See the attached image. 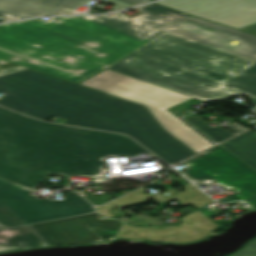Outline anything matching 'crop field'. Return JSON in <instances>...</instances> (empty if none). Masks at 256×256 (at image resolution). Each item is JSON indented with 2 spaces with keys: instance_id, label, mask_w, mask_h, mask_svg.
I'll return each instance as SVG.
<instances>
[{
  "instance_id": "crop-field-6",
  "label": "crop field",
  "mask_w": 256,
  "mask_h": 256,
  "mask_svg": "<svg viewBox=\"0 0 256 256\" xmlns=\"http://www.w3.org/2000/svg\"><path fill=\"white\" fill-rule=\"evenodd\" d=\"M87 226L111 228L87 215L0 231V252L103 240Z\"/></svg>"
},
{
  "instance_id": "crop-field-18",
  "label": "crop field",
  "mask_w": 256,
  "mask_h": 256,
  "mask_svg": "<svg viewBox=\"0 0 256 256\" xmlns=\"http://www.w3.org/2000/svg\"><path fill=\"white\" fill-rule=\"evenodd\" d=\"M91 228V227H90ZM100 236H113L117 235L120 229H98V228H91Z\"/></svg>"
},
{
  "instance_id": "crop-field-11",
  "label": "crop field",
  "mask_w": 256,
  "mask_h": 256,
  "mask_svg": "<svg viewBox=\"0 0 256 256\" xmlns=\"http://www.w3.org/2000/svg\"><path fill=\"white\" fill-rule=\"evenodd\" d=\"M221 146L256 171V132L249 130Z\"/></svg>"
},
{
  "instance_id": "crop-field-10",
  "label": "crop field",
  "mask_w": 256,
  "mask_h": 256,
  "mask_svg": "<svg viewBox=\"0 0 256 256\" xmlns=\"http://www.w3.org/2000/svg\"><path fill=\"white\" fill-rule=\"evenodd\" d=\"M91 0H0V11L21 18L35 15L78 14L76 9ZM116 11L149 0H106Z\"/></svg>"
},
{
  "instance_id": "crop-field-23",
  "label": "crop field",
  "mask_w": 256,
  "mask_h": 256,
  "mask_svg": "<svg viewBox=\"0 0 256 256\" xmlns=\"http://www.w3.org/2000/svg\"><path fill=\"white\" fill-rule=\"evenodd\" d=\"M211 210H214V209L213 208H209V209L202 208L199 211L202 212L207 217H209V216H213L214 215V213Z\"/></svg>"
},
{
  "instance_id": "crop-field-2",
  "label": "crop field",
  "mask_w": 256,
  "mask_h": 256,
  "mask_svg": "<svg viewBox=\"0 0 256 256\" xmlns=\"http://www.w3.org/2000/svg\"><path fill=\"white\" fill-rule=\"evenodd\" d=\"M187 16L166 8L129 19L118 12L1 25L0 64L13 62L77 83L163 32L154 28Z\"/></svg>"
},
{
  "instance_id": "crop-field-7",
  "label": "crop field",
  "mask_w": 256,
  "mask_h": 256,
  "mask_svg": "<svg viewBox=\"0 0 256 256\" xmlns=\"http://www.w3.org/2000/svg\"><path fill=\"white\" fill-rule=\"evenodd\" d=\"M256 60V36L193 16L156 28ZM237 41L234 45L231 41Z\"/></svg>"
},
{
  "instance_id": "crop-field-26",
  "label": "crop field",
  "mask_w": 256,
  "mask_h": 256,
  "mask_svg": "<svg viewBox=\"0 0 256 256\" xmlns=\"http://www.w3.org/2000/svg\"><path fill=\"white\" fill-rule=\"evenodd\" d=\"M0 228H2V227H0Z\"/></svg>"
},
{
  "instance_id": "crop-field-9",
  "label": "crop field",
  "mask_w": 256,
  "mask_h": 256,
  "mask_svg": "<svg viewBox=\"0 0 256 256\" xmlns=\"http://www.w3.org/2000/svg\"><path fill=\"white\" fill-rule=\"evenodd\" d=\"M186 165L181 174L190 181L214 179L227 189L235 192L234 196L246 200L256 208V190L224 166L207 151L181 163ZM214 174V176H211Z\"/></svg>"
},
{
  "instance_id": "crop-field-17",
  "label": "crop field",
  "mask_w": 256,
  "mask_h": 256,
  "mask_svg": "<svg viewBox=\"0 0 256 256\" xmlns=\"http://www.w3.org/2000/svg\"><path fill=\"white\" fill-rule=\"evenodd\" d=\"M162 8H165V7H161V6L156 5L154 3H150V4H147V5L136 7V9L139 10L142 14L148 13V12H151V11H155V10H159V9H162Z\"/></svg>"
},
{
  "instance_id": "crop-field-19",
  "label": "crop field",
  "mask_w": 256,
  "mask_h": 256,
  "mask_svg": "<svg viewBox=\"0 0 256 256\" xmlns=\"http://www.w3.org/2000/svg\"><path fill=\"white\" fill-rule=\"evenodd\" d=\"M191 99H193V98H191ZM190 100V99H189ZM183 104H184V102H182V103H180V104H178V105H176V106H173V107H171V108H169V109H167L170 113H172L174 116H176L177 118H178V115L181 113V112H183V111H185L186 110V108H184L183 107Z\"/></svg>"
},
{
  "instance_id": "crop-field-25",
  "label": "crop field",
  "mask_w": 256,
  "mask_h": 256,
  "mask_svg": "<svg viewBox=\"0 0 256 256\" xmlns=\"http://www.w3.org/2000/svg\"><path fill=\"white\" fill-rule=\"evenodd\" d=\"M250 99H251V101H252L253 103L256 104V100H255V99H253V98H251V97H250ZM253 112L256 113V109H254Z\"/></svg>"
},
{
  "instance_id": "crop-field-21",
  "label": "crop field",
  "mask_w": 256,
  "mask_h": 256,
  "mask_svg": "<svg viewBox=\"0 0 256 256\" xmlns=\"http://www.w3.org/2000/svg\"><path fill=\"white\" fill-rule=\"evenodd\" d=\"M15 19H20V18L0 12V22H5V21H10V20H15Z\"/></svg>"
},
{
  "instance_id": "crop-field-4",
  "label": "crop field",
  "mask_w": 256,
  "mask_h": 256,
  "mask_svg": "<svg viewBox=\"0 0 256 256\" xmlns=\"http://www.w3.org/2000/svg\"><path fill=\"white\" fill-rule=\"evenodd\" d=\"M251 62L253 60L164 32L107 69L210 101L241 94L223 85Z\"/></svg>"
},
{
  "instance_id": "crop-field-8",
  "label": "crop field",
  "mask_w": 256,
  "mask_h": 256,
  "mask_svg": "<svg viewBox=\"0 0 256 256\" xmlns=\"http://www.w3.org/2000/svg\"><path fill=\"white\" fill-rule=\"evenodd\" d=\"M156 3L236 28L256 22V0H162Z\"/></svg>"
},
{
  "instance_id": "crop-field-22",
  "label": "crop field",
  "mask_w": 256,
  "mask_h": 256,
  "mask_svg": "<svg viewBox=\"0 0 256 256\" xmlns=\"http://www.w3.org/2000/svg\"><path fill=\"white\" fill-rule=\"evenodd\" d=\"M239 29H242V30H245V31L252 32V33L256 34V23L251 24V25L246 26V27H243V28H239Z\"/></svg>"
},
{
  "instance_id": "crop-field-20",
  "label": "crop field",
  "mask_w": 256,
  "mask_h": 256,
  "mask_svg": "<svg viewBox=\"0 0 256 256\" xmlns=\"http://www.w3.org/2000/svg\"><path fill=\"white\" fill-rule=\"evenodd\" d=\"M225 127L229 128V129H231V130H233V131H235L237 133L242 131V130H244V129H246L245 127H243L242 125H240V124H238L236 122L231 123V124H229V125H227Z\"/></svg>"
},
{
  "instance_id": "crop-field-15",
  "label": "crop field",
  "mask_w": 256,
  "mask_h": 256,
  "mask_svg": "<svg viewBox=\"0 0 256 256\" xmlns=\"http://www.w3.org/2000/svg\"><path fill=\"white\" fill-rule=\"evenodd\" d=\"M231 256H256V239L246 245L241 251Z\"/></svg>"
},
{
  "instance_id": "crop-field-13",
  "label": "crop field",
  "mask_w": 256,
  "mask_h": 256,
  "mask_svg": "<svg viewBox=\"0 0 256 256\" xmlns=\"http://www.w3.org/2000/svg\"><path fill=\"white\" fill-rule=\"evenodd\" d=\"M225 86L256 99V61L251 63Z\"/></svg>"
},
{
  "instance_id": "crop-field-1",
  "label": "crop field",
  "mask_w": 256,
  "mask_h": 256,
  "mask_svg": "<svg viewBox=\"0 0 256 256\" xmlns=\"http://www.w3.org/2000/svg\"><path fill=\"white\" fill-rule=\"evenodd\" d=\"M106 156L155 158L124 135L43 123L0 107L1 178L36 190L49 174L106 173ZM30 191L0 179L3 228L94 211L74 191L66 193L63 201L38 199Z\"/></svg>"
},
{
  "instance_id": "crop-field-12",
  "label": "crop field",
  "mask_w": 256,
  "mask_h": 256,
  "mask_svg": "<svg viewBox=\"0 0 256 256\" xmlns=\"http://www.w3.org/2000/svg\"><path fill=\"white\" fill-rule=\"evenodd\" d=\"M208 152L256 189V172L254 170L246 166L220 146L210 149Z\"/></svg>"
},
{
  "instance_id": "crop-field-3",
  "label": "crop field",
  "mask_w": 256,
  "mask_h": 256,
  "mask_svg": "<svg viewBox=\"0 0 256 256\" xmlns=\"http://www.w3.org/2000/svg\"><path fill=\"white\" fill-rule=\"evenodd\" d=\"M0 105L42 120L52 116L78 126L131 135L168 164L195 154L168 134L143 105L31 69L0 77Z\"/></svg>"
},
{
  "instance_id": "crop-field-24",
  "label": "crop field",
  "mask_w": 256,
  "mask_h": 256,
  "mask_svg": "<svg viewBox=\"0 0 256 256\" xmlns=\"http://www.w3.org/2000/svg\"><path fill=\"white\" fill-rule=\"evenodd\" d=\"M236 199L237 198H235L233 196H230V197H226V198L221 199L219 202H225V201L236 200Z\"/></svg>"
},
{
  "instance_id": "crop-field-14",
  "label": "crop field",
  "mask_w": 256,
  "mask_h": 256,
  "mask_svg": "<svg viewBox=\"0 0 256 256\" xmlns=\"http://www.w3.org/2000/svg\"><path fill=\"white\" fill-rule=\"evenodd\" d=\"M184 120L217 143L235 135L220 126L209 128L205 125L206 121L202 120L198 114Z\"/></svg>"
},
{
  "instance_id": "crop-field-5",
  "label": "crop field",
  "mask_w": 256,
  "mask_h": 256,
  "mask_svg": "<svg viewBox=\"0 0 256 256\" xmlns=\"http://www.w3.org/2000/svg\"><path fill=\"white\" fill-rule=\"evenodd\" d=\"M80 84L145 105L168 133L196 153L211 146L209 141L165 110L191 97L107 69Z\"/></svg>"
},
{
  "instance_id": "crop-field-16",
  "label": "crop field",
  "mask_w": 256,
  "mask_h": 256,
  "mask_svg": "<svg viewBox=\"0 0 256 256\" xmlns=\"http://www.w3.org/2000/svg\"><path fill=\"white\" fill-rule=\"evenodd\" d=\"M88 215L97 219V220H99V221H101V222H103V223H105V224H107V225H109V226H111V227H113V228H120L122 223H123L122 221L117 220V219H106V220L100 219L101 215H99L97 212L96 213H91V214H88Z\"/></svg>"
}]
</instances>
